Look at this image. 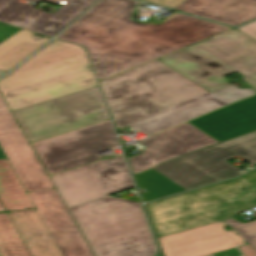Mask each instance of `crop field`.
I'll use <instances>...</instances> for the list:
<instances>
[{
  "instance_id": "obj_13",
  "label": "crop field",
  "mask_w": 256,
  "mask_h": 256,
  "mask_svg": "<svg viewBox=\"0 0 256 256\" xmlns=\"http://www.w3.org/2000/svg\"><path fill=\"white\" fill-rule=\"evenodd\" d=\"M139 143L146 148L141 155L129 158L134 174L218 142L187 122Z\"/></svg>"
},
{
  "instance_id": "obj_26",
  "label": "crop field",
  "mask_w": 256,
  "mask_h": 256,
  "mask_svg": "<svg viewBox=\"0 0 256 256\" xmlns=\"http://www.w3.org/2000/svg\"><path fill=\"white\" fill-rule=\"evenodd\" d=\"M143 1L175 9L185 0H143Z\"/></svg>"
},
{
  "instance_id": "obj_12",
  "label": "crop field",
  "mask_w": 256,
  "mask_h": 256,
  "mask_svg": "<svg viewBox=\"0 0 256 256\" xmlns=\"http://www.w3.org/2000/svg\"><path fill=\"white\" fill-rule=\"evenodd\" d=\"M57 3L60 0H29ZM96 0H63L53 14L17 0H0V21L53 37Z\"/></svg>"
},
{
  "instance_id": "obj_14",
  "label": "crop field",
  "mask_w": 256,
  "mask_h": 256,
  "mask_svg": "<svg viewBox=\"0 0 256 256\" xmlns=\"http://www.w3.org/2000/svg\"><path fill=\"white\" fill-rule=\"evenodd\" d=\"M28 195L63 256H93L56 189L30 192Z\"/></svg>"
},
{
  "instance_id": "obj_24",
  "label": "crop field",
  "mask_w": 256,
  "mask_h": 256,
  "mask_svg": "<svg viewBox=\"0 0 256 256\" xmlns=\"http://www.w3.org/2000/svg\"><path fill=\"white\" fill-rule=\"evenodd\" d=\"M254 216L256 217V213ZM224 222L230 225L250 246L256 249V220L242 225L233 218Z\"/></svg>"
},
{
  "instance_id": "obj_9",
  "label": "crop field",
  "mask_w": 256,
  "mask_h": 256,
  "mask_svg": "<svg viewBox=\"0 0 256 256\" xmlns=\"http://www.w3.org/2000/svg\"><path fill=\"white\" fill-rule=\"evenodd\" d=\"M31 144L51 175L102 159L96 153L118 141L108 119Z\"/></svg>"
},
{
  "instance_id": "obj_6",
  "label": "crop field",
  "mask_w": 256,
  "mask_h": 256,
  "mask_svg": "<svg viewBox=\"0 0 256 256\" xmlns=\"http://www.w3.org/2000/svg\"><path fill=\"white\" fill-rule=\"evenodd\" d=\"M200 87L210 91L238 73L256 89V40L233 29L158 59Z\"/></svg>"
},
{
  "instance_id": "obj_21",
  "label": "crop field",
  "mask_w": 256,
  "mask_h": 256,
  "mask_svg": "<svg viewBox=\"0 0 256 256\" xmlns=\"http://www.w3.org/2000/svg\"><path fill=\"white\" fill-rule=\"evenodd\" d=\"M0 201L7 212L34 208L6 159L0 160Z\"/></svg>"
},
{
  "instance_id": "obj_29",
  "label": "crop field",
  "mask_w": 256,
  "mask_h": 256,
  "mask_svg": "<svg viewBox=\"0 0 256 256\" xmlns=\"http://www.w3.org/2000/svg\"><path fill=\"white\" fill-rule=\"evenodd\" d=\"M226 255L240 256V253L236 249H232V250H228V251L219 252V253L214 254V256H226Z\"/></svg>"
},
{
  "instance_id": "obj_2",
  "label": "crop field",
  "mask_w": 256,
  "mask_h": 256,
  "mask_svg": "<svg viewBox=\"0 0 256 256\" xmlns=\"http://www.w3.org/2000/svg\"><path fill=\"white\" fill-rule=\"evenodd\" d=\"M83 48L54 40L0 80L11 111L96 86Z\"/></svg>"
},
{
  "instance_id": "obj_32",
  "label": "crop field",
  "mask_w": 256,
  "mask_h": 256,
  "mask_svg": "<svg viewBox=\"0 0 256 256\" xmlns=\"http://www.w3.org/2000/svg\"><path fill=\"white\" fill-rule=\"evenodd\" d=\"M4 73H5V72H1V71H0V75H2V74H4Z\"/></svg>"
},
{
  "instance_id": "obj_30",
  "label": "crop field",
  "mask_w": 256,
  "mask_h": 256,
  "mask_svg": "<svg viewBox=\"0 0 256 256\" xmlns=\"http://www.w3.org/2000/svg\"><path fill=\"white\" fill-rule=\"evenodd\" d=\"M3 158H5V156H4L3 152L0 149V159H3Z\"/></svg>"
},
{
  "instance_id": "obj_3",
  "label": "crop field",
  "mask_w": 256,
  "mask_h": 256,
  "mask_svg": "<svg viewBox=\"0 0 256 256\" xmlns=\"http://www.w3.org/2000/svg\"><path fill=\"white\" fill-rule=\"evenodd\" d=\"M176 72L155 60L102 81L117 129L209 93Z\"/></svg>"
},
{
  "instance_id": "obj_31",
  "label": "crop field",
  "mask_w": 256,
  "mask_h": 256,
  "mask_svg": "<svg viewBox=\"0 0 256 256\" xmlns=\"http://www.w3.org/2000/svg\"><path fill=\"white\" fill-rule=\"evenodd\" d=\"M2 211H5V210H4L3 206L0 203V212H2Z\"/></svg>"
},
{
  "instance_id": "obj_5",
  "label": "crop field",
  "mask_w": 256,
  "mask_h": 256,
  "mask_svg": "<svg viewBox=\"0 0 256 256\" xmlns=\"http://www.w3.org/2000/svg\"><path fill=\"white\" fill-rule=\"evenodd\" d=\"M256 206V170L237 180L147 205L157 237L221 221Z\"/></svg>"
},
{
  "instance_id": "obj_11",
  "label": "crop field",
  "mask_w": 256,
  "mask_h": 256,
  "mask_svg": "<svg viewBox=\"0 0 256 256\" xmlns=\"http://www.w3.org/2000/svg\"><path fill=\"white\" fill-rule=\"evenodd\" d=\"M19 129L0 96V147L14 173L26 192L54 188Z\"/></svg>"
},
{
  "instance_id": "obj_28",
  "label": "crop field",
  "mask_w": 256,
  "mask_h": 256,
  "mask_svg": "<svg viewBox=\"0 0 256 256\" xmlns=\"http://www.w3.org/2000/svg\"><path fill=\"white\" fill-rule=\"evenodd\" d=\"M239 249L243 252L245 256H256V250H254L252 247L249 245L239 247Z\"/></svg>"
},
{
  "instance_id": "obj_23",
  "label": "crop field",
  "mask_w": 256,
  "mask_h": 256,
  "mask_svg": "<svg viewBox=\"0 0 256 256\" xmlns=\"http://www.w3.org/2000/svg\"><path fill=\"white\" fill-rule=\"evenodd\" d=\"M0 253L2 256H31L7 213L0 214Z\"/></svg>"
},
{
  "instance_id": "obj_8",
  "label": "crop field",
  "mask_w": 256,
  "mask_h": 256,
  "mask_svg": "<svg viewBox=\"0 0 256 256\" xmlns=\"http://www.w3.org/2000/svg\"><path fill=\"white\" fill-rule=\"evenodd\" d=\"M235 155L256 164V131L153 169L188 190L240 174L236 167L224 160Z\"/></svg>"
},
{
  "instance_id": "obj_16",
  "label": "crop field",
  "mask_w": 256,
  "mask_h": 256,
  "mask_svg": "<svg viewBox=\"0 0 256 256\" xmlns=\"http://www.w3.org/2000/svg\"><path fill=\"white\" fill-rule=\"evenodd\" d=\"M165 256H205L243 244L218 222L159 238Z\"/></svg>"
},
{
  "instance_id": "obj_25",
  "label": "crop field",
  "mask_w": 256,
  "mask_h": 256,
  "mask_svg": "<svg viewBox=\"0 0 256 256\" xmlns=\"http://www.w3.org/2000/svg\"><path fill=\"white\" fill-rule=\"evenodd\" d=\"M21 28L13 27L10 25L2 24L0 23V42L5 40L6 38L10 37L17 31H19Z\"/></svg>"
},
{
  "instance_id": "obj_15",
  "label": "crop field",
  "mask_w": 256,
  "mask_h": 256,
  "mask_svg": "<svg viewBox=\"0 0 256 256\" xmlns=\"http://www.w3.org/2000/svg\"><path fill=\"white\" fill-rule=\"evenodd\" d=\"M210 92L211 93L208 95L196 98L129 126L135 130H140L141 132L150 135L164 128L255 94V92L248 87L240 89L231 83Z\"/></svg>"
},
{
  "instance_id": "obj_27",
  "label": "crop field",
  "mask_w": 256,
  "mask_h": 256,
  "mask_svg": "<svg viewBox=\"0 0 256 256\" xmlns=\"http://www.w3.org/2000/svg\"><path fill=\"white\" fill-rule=\"evenodd\" d=\"M238 30L256 39V22L246 25L244 27L238 28Z\"/></svg>"
},
{
  "instance_id": "obj_1",
  "label": "crop field",
  "mask_w": 256,
  "mask_h": 256,
  "mask_svg": "<svg viewBox=\"0 0 256 256\" xmlns=\"http://www.w3.org/2000/svg\"><path fill=\"white\" fill-rule=\"evenodd\" d=\"M140 2L101 0L57 38L87 49L98 81L230 28L175 13L164 22L132 19Z\"/></svg>"
},
{
  "instance_id": "obj_19",
  "label": "crop field",
  "mask_w": 256,
  "mask_h": 256,
  "mask_svg": "<svg viewBox=\"0 0 256 256\" xmlns=\"http://www.w3.org/2000/svg\"><path fill=\"white\" fill-rule=\"evenodd\" d=\"M8 215L32 256H62L36 209Z\"/></svg>"
},
{
  "instance_id": "obj_33",
  "label": "crop field",
  "mask_w": 256,
  "mask_h": 256,
  "mask_svg": "<svg viewBox=\"0 0 256 256\" xmlns=\"http://www.w3.org/2000/svg\"><path fill=\"white\" fill-rule=\"evenodd\" d=\"M209 256H213V255H209Z\"/></svg>"
},
{
  "instance_id": "obj_18",
  "label": "crop field",
  "mask_w": 256,
  "mask_h": 256,
  "mask_svg": "<svg viewBox=\"0 0 256 256\" xmlns=\"http://www.w3.org/2000/svg\"><path fill=\"white\" fill-rule=\"evenodd\" d=\"M176 10L238 26L256 18V0H186Z\"/></svg>"
},
{
  "instance_id": "obj_7",
  "label": "crop field",
  "mask_w": 256,
  "mask_h": 256,
  "mask_svg": "<svg viewBox=\"0 0 256 256\" xmlns=\"http://www.w3.org/2000/svg\"><path fill=\"white\" fill-rule=\"evenodd\" d=\"M13 114L30 143L109 118L97 86Z\"/></svg>"
},
{
  "instance_id": "obj_4",
  "label": "crop field",
  "mask_w": 256,
  "mask_h": 256,
  "mask_svg": "<svg viewBox=\"0 0 256 256\" xmlns=\"http://www.w3.org/2000/svg\"><path fill=\"white\" fill-rule=\"evenodd\" d=\"M95 256H153L141 204L106 196L69 209Z\"/></svg>"
},
{
  "instance_id": "obj_22",
  "label": "crop field",
  "mask_w": 256,
  "mask_h": 256,
  "mask_svg": "<svg viewBox=\"0 0 256 256\" xmlns=\"http://www.w3.org/2000/svg\"><path fill=\"white\" fill-rule=\"evenodd\" d=\"M135 178L139 186L150 192L142 194L145 201L185 191L182 187L176 185L152 169L135 176Z\"/></svg>"
},
{
  "instance_id": "obj_10",
  "label": "crop field",
  "mask_w": 256,
  "mask_h": 256,
  "mask_svg": "<svg viewBox=\"0 0 256 256\" xmlns=\"http://www.w3.org/2000/svg\"><path fill=\"white\" fill-rule=\"evenodd\" d=\"M51 179L68 208L134 188L123 156L53 175Z\"/></svg>"
},
{
  "instance_id": "obj_17",
  "label": "crop field",
  "mask_w": 256,
  "mask_h": 256,
  "mask_svg": "<svg viewBox=\"0 0 256 256\" xmlns=\"http://www.w3.org/2000/svg\"><path fill=\"white\" fill-rule=\"evenodd\" d=\"M189 122L219 142L250 132L256 129V96Z\"/></svg>"
},
{
  "instance_id": "obj_20",
  "label": "crop field",
  "mask_w": 256,
  "mask_h": 256,
  "mask_svg": "<svg viewBox=\"0 0 256 256\" xmlns=\"http://www.w3.org/2000/svg\"><path fill=\"white\" fill-rule=\"evenodd\" d=\"M33 33L28 30H20L7 40L0 43V70L9 71L40 46L46 43L49 38L34 41Z\"/></svg>"
}]
</instances>
